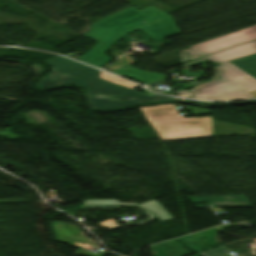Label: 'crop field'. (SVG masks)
<instances>
[{
  "label": "crop field",
  "mask_w": 256,
  "mask_h": 256,
  "mask_svg": "<svg viewBox=\"0 0 256 256\" xmlns=\"http://www.w3.org/2000/svg\"><path fill=\"white\" fill-rule=\"evenodd\" d=\"M141 20L146 21L141 22ZM136 28H140L154 41L179 33L170 15L151 5L140 11L129 6L95 22L91 26L90 30L84 35L99 43L87 51L79 60L101 68L112 60L104 53L110 49L114 42Z\"/></svg>",
  "instance_id": "obj_1"
},
{
  "label": "crop field",
  "mask_w": 256,
  "mask_h": 256,
  "mask_svg": "<svg viewBox=\"0 0 256 256\" xmlns=\"http://www.w3.org/2000/svg\"><path fill=\"white\" fill-rule=\"evenodd\" d=\"M254 53H256V41L205 56L216 63L224 64L214 67L217 73L212 80L194 87L191 90L193 94L178 90L177 95L200 100L254 98L249 92L256 90V79L228 62Z\"/></svg>",
  "instance_id": "obj_2"
},
{
  "label": "crop field",
  "mask_w": 256,
  "mask_h": 256,
  "mask_svg": "<svg viewBox=\"0 0 256 256\" xmlns=\"http://www.w3.org/2000/svg\"><path fill=\"white\" fill-rule=\"evenodd\" d=\"M64 83L78 85L87 90L90 105L98 109L119 108L146 101L176 100L172 97L154 94L145 96L134 91L139 87L138 85L97 69L61 84Z\"/></svg>",
  "instance_id": "obj_3"
},
{
  "label": "crop field",
  "mask_w": 256,
  "mask_h": 256,
  "mask_svg": "<svg viewBox=\"0 0 256 256\" xmlns=\"http://www.w3.org/2000/svg\"><path fill=\"white\" fill-rule=\"evenodd\" d=\"M140 109L163 141L212 136L211 116L184 118L174 104Z\"/></svg>",
  "instance_id": "obj_4"
},
{
  "label": "crop field",
  "mask_w": 256,
  "mask_h": 256,
  "mask_svg": "<svg viewBox=\"0 0 256 256\" xmlns=\"http://www.w3.org/2000/svg\"><path fill=\"white\" fill-rule=\"evenodd\" d=\"M52 66L53 71L45 76L38 84L37 89H44L85 73L94 68L61 58L56 57L47 60ZM48 63V64H49Z\"/></svg>",
  "instance_id": "obj_5"
},
{
  "label": "crop field",
  "mask_w": 256,
  "mask_h": 256,
  "mask_svg": "<svg viewBox=\"0 0 256 256\" xmlns=\"http://www.w3.org/2000/svg\"><path fill=\"white\" fill-rule=\"evenodd\" d=\"M252 39H256V26L192 46L191 50L204 56L214 51L227 48L239 43H243Z\"/></svg>",
  "instance_id": "obj_6"
},
{
  "label": "crop field",
  "mask_w": 256,
  "mask_h": 256,
  "mask_svg": "<svg viewBox=\"0 0 256 256\" xmlns=\"http://www.w3.org/2000/svg\"><path fill=\"white\" fill-rule=\"evenodd\" d=\"M191 202L209 201L214 207L252 206L243 195L188 197Z\"/></svg>",
  "instance_id": "obj_7"
},
{
  "label": "crop field",
  "mask_w": 256,
  "mask_h": 256,
  "mask_svg": "<svg viewBox=\"0 0 256 256\" xmlns=\"http://www.w3.org/2000/svg\"><path fill=\"white\" fill-rule=\"evenodd\" d=\"M112 72L144 85H148L150 83H153L155 81L161 80L166 77V75L162 72L160 73L142 72L132 66L120 68Z\"/></svg>",
  "instance_id": "obj_8"
},
{
  "label": "crop field",
  "mask_w": 256,
  "mask_h": 256,
  "mask_svg": "<svg viewBox=\"0 0 256 256\" xmlns=\"http://www.w3.org/2000/svg\"><path fill=\"white\" fill-rule=\"evenodd\" d=\"M230 63L256 78V54L231 61Z\"/></svg>",
  "instance_id": "obj_9"
},
{
  "label": "crop field",
  "mask_w": 256,
  "mask_h": 256,
  "mask_svg": "<svg viewBox=\"0 0 256 256\" xmlns=\"http://www.w3.org/2000/svg\"><path fill=\"white\" fill-rule=\"evenodd\" d=\"M144 209L154 212L161 221L172 219L173 217L163 208V206L156 200L149 201L137 205Z\"/></svg>",
  "instance_id": "obj_10"
},
{
  "label": "crop field",
  "mask_w": 256,
  "mask_h": 256,
  "mask_svg": "<svg viewBox=\"0 0 256 256\" xmlns=\"http://www.w3.org/2000/svg\"><path fill=\"white\" fill-rule=\"evenodd\" d=\"M85 205H136V203H121L117 200H85Z\"/></svg>",
  "instance_id": "obj_11"
},
{
  "label": "crop field",
  "mask_w": 256,
  "mask_h": 256,
  "mask_svg": "<svg viewBox=\"0 0 256 256\" xmlns=\"http://www.w3.org/2000/svg\"><path fill=\"white\" fill-rule=\"evenodd\" d=\"M180 56H181V62H185V61H188L191 59L201 57L200 55L190 51L189 49H185V50L181 51Z\"/></svg>",
  "instance_id": "obj_12"
},
{
  "label": "crop field",
  "mask_w": 256,
  "mask_h": 256,
  "mask_svg": "<svg viewBox=\"0 0 256 256\" xmlns=\"http://www.w3.org/2000/svg\"><path fill=\"white\" fill-rule=\"evenodd\" d=\"M141 210H142V211L148 216V218H150V219L141 221V222L136 223V224H133V225L145 224V223H149V222H153V221L157 220V218H156L152 213L147 212V211H145V210H143V209H141ZM118 227H122V226L116 225V226H113V227H110V228H107V229H108L109 231H111V230L116 229V228H118Z\"/></svg>",
  "instance_id": "obj_13"
},
{
  "label": "crop field",
  "mask_w": 256,
  "mask_h": 256,
  "mask_svg": "<svg viewBox=\"0 0 256 256\" xmlns=\"http://www.w3.org/2000/svg\"><path fill=\"white\" fill-rule=\"evenodd\" d=\"M203 60H204V58H201V59L195 60V61H193V62L184 64L183 69L189 71V70H191V69H189V67H191V66H193V65H196V64L200 63V62L203 61Z\"/></svg>",
  "instance_id": "obj_14"
},
{
  "label": "crop field",
  "mask_w": 256,
  "mask_h": 256,
  "mask_svg": "<svg viewBox=\"0 0 256 256\" xmlns=\"http://www.w3.org/2000/svg\"><path fill=\"white\" fill-rule=\"evenodd\" d=\"M115 218H117V217H115ZM115 218H111V219H109V220H106V221H104V222H102V223H100V224H98V225H99V226L103 225L104 227L112 226V225L115 224V222H114V220H113V219H115Z\"/></svg>",
  "instance_id": "obj_15"
},
{
  "label": "crop field",
  "mask_w": 256,
  "mask_h": 256,
  "mask_svg": "<svg viewBox=\"0 0 256 256\" xmlns=\"http://www.w3.org/2000/svg\"><path fill=\"white\" fill-rule=\"evenodd\" d=\"M211 250L200 252V254H202L203 256H220L219 254H217Z\"/></svg>",
  "instance_id": "obj_16"
},
{
  "label": "crop field",
  "mask_w": 256,
  "mask_h": 256,
  "mask_svg": "<svg viewBox=\"0 0 256 256\" xmlns=\"http://www.w3.org/2000/svg\"><path fill=\"white\" fill-rule=\"evenodd\" d=\"M183 101H189V100H184ZM189 102H193V103H202V102H195V101H189ZM203 104H211V103H203Z\"/></svg>",
  "instance_id": "obj_17"
},
{
  "label": "crop field",
  "mask_w": 256,
  "mask_h": 256,
  "mask_svg": "<svg viewBox=\"0 0 256 256\" xmlns=\"http://www.w3.org/2000/svg\"><path fill=\"white\" fill-rule=\"evenodd\" d=\"M84 208H100V207H84Z\"/></svg>",
  "instance_id": "obj_18"
}]
</instances>
